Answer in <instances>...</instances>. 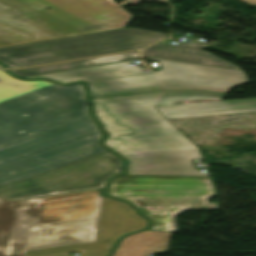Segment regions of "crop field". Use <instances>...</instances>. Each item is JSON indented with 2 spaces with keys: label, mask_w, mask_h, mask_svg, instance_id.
Here are the masks:
<instances>
[{
  "label": "crop field",
  "mask_w": 256,
  "mask_h": 256,
  "mask_svg": "<svg viewBox=\"0 0 256 256\" xmlns=\"http://www.w3.org/2000/svg\"><path fill=\"white\" fill-rule=\"evenodd\" d=\"M100 137L81 85L0 70V186L107 151Z\"/></svg>",
  "instance_id": "crop-field-1"
},
{
  "label": "crop field",
  "mask_w": 256,
  "mask_h": 256,
  "mask_svg": "<svg viewBox=\"0 0 256 256\" xmlns=\"http://www.w3.org/2000/svg\"><path fill=\"white\" fill-rule=\"evenodd\" d=\"M226 95L200 91H159L92 99L108 136L105 145L128 160V174L208 176L192 167L197 147L167 123L153 106ZM116 108V110H114Z\"/></svg>",
  "instance_id": "crop-field-2"
},
{
  "label": "crop field",
  "mask_w": 256,
  "mask_h": 256,
  "mask_svg": "<svg viewBox=\"0 0 256 256\" xmlns=\"http://www.w3.org/2000/svg\"><path fill=\"white\" fill-rule=\"evenodd\" d=\"M98 189L10 201L0 197V256L95 241Z\"/></svg>",
  "instance_id": "crop-field-3"
},
{
  "label": "crop field",
  "mask_w": 256,
  "mask_h": 256,
  "mask_svg": "<svg viewBox=\"0 0 256 256\" xmlns=\"http://www.w3.org/2000/svg\"><path fill=\"white\" fill-rule=\"evenodd\" d=\"M113 0H0V47L125 27Z\"/></svg>",
  "instance_id": "crop-field-4"
},
{
  "label": "crop field",
  "mask_w": 256,
  "mask_h": 256,
  "mask_svg": "<svg viewBox=\"0 0 256 256\" xmlns=\"http://www.w3.org/2000/svg\"><path fill=\"white\" fill-rule=\"evenodd\" d=\"M109 195L131 201L154 220L149 230L177 232L175 217L186 210L219 209L209 177L124 175L115 178Z\"/></svg>",
  "instance_id": "crop-field-5"
},
{
  "label": "crop field",
  "mask_w": 256,
  "mask_h": 256,
  "mask_svg": "<svg viewBox=\"0 0 256 256\" xmlns=\"http://www.w3.org/2000/svg\"><path fill=\"white\" fill-rule=\"evenodd\" d=\"M167 35L125 28L82 36L0 48L8 68L61 62L143 48Z\"/></svg>",
  "instance_id": "crop-field-6"
},
{
  "label": "crop field",
  "mask_w": 256,
  "mask_h": 256,
  "mask_svg": "<svg viewBox=\"0 0 256 256\" xmlns=\"http://www.w3.org/2000/svg\"><path fill=\"white\" fill-rule=\"evenodd\" d=\"M120 171L121 159L108 152L2 187L0 196L17 200L105 187Z\"/></svg>",
  "instance_id": "crop-field-7"
},
{
  "label": "crop field",
  "mask_w": 256,
  "mask_h": 256,
  "mask_svg": "<svg viewBox=\"0 0 256 256\" xmlns=\"http://www.w3.org/2000/svg\"><path fill=\"white\" fill-rule=\"evenodd\" d=\"M147 221L125 203L104 197L96 242L26 252L25 256H38L82 250L81 256H105L115 241L125 233L146 226ZM69 256V254L55 255Z\"/></svg>",
  "instance_id": "crop-field-8"
},
{
  "label": "crop field",
  "mask_w": 256,
  "mask_h": 256,
  "mask_svg": "<svg viewBox=\"0 0 256 256\" xmlns=\"http://www.w3.org/2000/svg\"><path fill=\"white\" fill-rule=\"evenodd\" d=\"M148 60L161 64L163 69L157 74L164 79L166 90L200 89L228 94L233 87L248 83L243 71L155 58Z\"/></svg>",
  "instance_id": "crop-field-9"
},
{
  "label": "crop field",
  "mask_w": 256,
  "mask_h": 256,
  "mask_svg": "<svg viewBox=\"0 0 256 256\" xmlns=\"http://www.w3.org/2000/svg\"><path fill=\"white\" fill-rule=\"evenodd\" d=\"M206 44L198 41L182 43L178 46L156 43L142 51L144 58L155 57L168 60L196 63L202 65L223 67L240 70L237 66L229 63L204 50Z\"/></svg>",
  "instance_id": "crop-field-10"
},
{
  "label": "crop field",
  "mask_w": 256,
  "mask_h": 256,
  "mask_svg": "<svg viewBox=\"0 0 256 256\" xmlns=\"http://www.w3.org/2000/svg\"><path fill=\"white\" fill-rule=\"evenodd\" d=\"M165 118L256 111V99L177 104L156 107Z\"/></svg>",
  "instance_id": "crop-field-11"
},
{
  "label": "crop field",
  "mask_w": 256,
  "mask_h": 256,
  "mask_svg": "<svg viewBox=\"0 0 256 256\" xmlns=\"http://www.w3.org/2000/svg\"><path fill=\"white\" fill-rule=\"evenodd\" d=\"M88 86L92 98L163 90L154 73L89 82Z\"/></svg>",
  "instance_id": "crop-field-12"
},
{
  "label": "crop field",
  "mask_w": 256,
  "mask_h": 256,
  "mask_svg": "<svg viewBox=\"0 0 256 256\" xmlns=\"http://www.w3.org/2000/svg\"><path fill=\"white\" fill-rule=\"evenodd\" d=\"M134 63L133 61H128L124 63L118 64H110V65H102V66H95L35 77H45L49 79H53L55 81L61 83H69L73 81L83 80V81H94V80H102L108 79L113 77L131 75V74H138L142 73L141 69L138 67L132 68L128 64ZM29 77V78H35Z\"/></svg>",
  "instance_id": "crop-field-13"
},
{
  "label": "crop field",
  "mask_w": 256,
  "mask_h": 256,
  "mask_svg": "<svg viewBox=\"0 0 256 256\" xmlns=\"http://www.w3.org/2000/svg\"><path fill=\"white\" fill-rule=\"evenodd\" d=\"M171 233L143 231L125 238L114 256H147L167 253Z\"/></svg>",
  "instance_id": "crop-field-14"
},
{
  "label": "crop field",
  "mask_w": 256,
  "mask_h": 256,
  "mask_svg": "<svg viewBox=\"0 0 256 256\" xmlns=\"http://www.w3.org/2000/svg\"><path fill=\"white\" fill-rule=\"evenodd\" d=\"M139 58H141L139 55V52L134 51V52H128V53H122V54H116V55H109V56H103V57H97V58H91V59H84V60H78V61H72V62L47 65V66L12 70L10 72H12L17 76L29 77V76L95 66V65L124 62L128 60L139 59Z\"/></svg>",
  "instance_id": "crop-field-15"
},
{
  "label": "crop field",
  "mask_w": 256,
  "mask_h": 256,
  "mask_svg": "<svg viewBox=\"0 0 256 256\" xmlns=\"http://www.w3.org/2000/svg\"><path fill=\"white\" fill-rule=\"evenodd\" d=\"M243 1H245V2H247V3H249V4H254V5H256V0H243Z\"/></svg>",
  "instance_id": "crop-field-16"
},
{
  "label": "crop field",
  "mask_w": 256,
  "mask_h": 256,
  "mask_svg": "<svg viewBox=\"0 0 256 256\" xmlns=\"http://www.w3.org/2000/svg\"><path fill=\"white\" fill-rule=\"evenodd\" d=\"M0 67H2V65H0Z\"/></svg>",
  "instance_id": "crop-field-17"
}]
</instances>
